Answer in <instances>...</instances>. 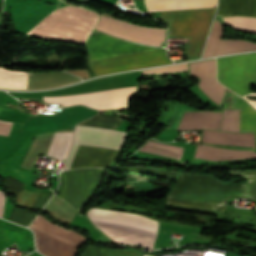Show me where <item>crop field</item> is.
<instances>
[{
  "instance_id": "8a807250",
  "label": "crop field",
  "mask_w": 256,
  "mask_h": 256,
  "mask_svg": "<svg viewBox=\"0 0 256 256\" xmlns=\"http://www.w3.org/2000/svg\"><path fill=\"white\" fill-rule=\"evenodd\" d=\"M90 50V58L97 59L151 49L154 47L140 46L126 41L118 40L106 35L89 36L86 44ZM171 63L164 55V49L98 59L89 61V67L97 75H104L123 70L135 69L145 66Z\"/></svg>"
},
{
  "instance_id": "ac0d7876",
  "label": "crop field",
  "mask_w": 256,
  "mask_h": 256,
  "mask_svg": "<svg viewBox=\"0 0 256 256\" xmlns=\"http://www.w3.org/2000/svg\"><path fill=\"white\" fill-rule=\"evenodd\" d=\"M167 204L223 211L230 197L247 198L246 185H226L207 175L180 173L169 191Z\"/></svg>"
},
{
  "instance_id": "34b2d1b8",
  "label": "crop field",
  "mask_w": 256,
  "mask_h": 256,
  "mask_svg": "<svg viewBox=\"0 0 256 256\" xmlns=\"http://www.w3.org/2000/svg\"><path fill=\"white\" fill-rule=\"evenodd\" d=\"M89 219L96 228L113 241L151 248L157 232V222L144 216L90 209Z\"/></svg>"
},
{
  "instance_id": "412701ff",
  "label": "crop field",
  "mask_w": 256,
  "mask_h": 256,
  "mask_svg": "<svg viewBox=\"0 0 256 256\" xmlns=\"http://www.w3.org/2000/svg\"><path fill=\"white\" fill-rule=\"evenodd\" d=\"M215 9L156 13L169 24V36L190 37L188 56H200Z\"/></svg>"
},
{
  "instance_id": "f4fd0767",
  "label": "crop field",
  "mask_w": 256,
  "mask_h": 256,
  "mask_svg": "<svg viewBox=\"0 0 256 256\" xmlns=\"http://www.w3.org/2000/svg\"><path fill=\"white\" fill-rule=\"evenodd\" d=\"M217 79L240 95L247 93L249 82L256 81V54L217 59Z\"/></svg>"
},
{
  "instance_id": "dd49c442",
  "label": "crop field",
  "mask_w": 256,
  "mask_h": 256,
  "mask_svg": "<svg viewBox=\"0 0 256 256\" xmlns=\"http://www.w3.org/2000/svg\"><path fill=\"white\" fill-rule=\"evenodd\" d=\"M103 170L75 169L61 172L57 195L79 211L98 186Z\"/></svg>"
},
{
  "instance_id": "e52e79f7",
  "label": "crop field",
  "mask_w": 256,
  "mask_h": 256,
  "mask_svg": "<svg viewBox=\"0 0 256 256\" xmlns=\"http://www.w3.org/2000/svg\"><path fill=\"white\" fill-rule=\"evenodd\" d=\"M95 30L147 45L160 46L165 39V29L136 26L103 15L98 21Z\"/></svg>"
},
{
  "instance_id": "d8731c3e",
  "label": "crop field",
  "mask_w": 256,
  "mask_h": 256,
  "mask_svg": "<svg viewBox=\"0 0 256 256\" xmlns=\"http://www.w3.org/2000/svg\"><path fill=\"white\" fill-rule=\"evenodd\" d=\"M134 91L135 87L76 96L44 98V101L47 103H61L64 106L84 104L97 109H125L127 100Z\"/></svg>"
},
{
  "instance_id": "5a996713",
  "label": "crop field",
  "mask_w": 256,
  "mask_h": 256,
  "mask_svg": "<svg viewBox=\"0 0 256 256\" xmlns=\"http://www.w3.org/2000/svg\"><path fill=\"white\" fill-rule=\"evenodd\" d=\"M126 132L112 131L103 128L76 126L74 129V142L63 168L69 169L78 144L119 150ZM123 145V144H122Z\"/></svg>"
},
{
  "instance_id": "3316defc",
  "label": "crop field",
  "mask_w": 256,
  "mask_h": 256,
  "mask_svg": "<svg viewBox=\"0 0 256 256\" xmlns=\"http://www.w3.org/2000/svg\"><path fill=\"white\" fill-rule=\"evenodd\" d=\"M215 60L199 61L189 63V74L199 79L197 86L216 104L220 105L223 95L224 87L215 80ZM217 105V106H218Z\"/></svg>"
},
{
  "instance_id": "28ad6ade",
  "label": "crop field",
  "mask_w": 256,
  "mask_h": 256,
  "mask_svg": "<svg viewBox=\"0 0 256 256\" xmlns=\"http://www.w3.org/2000/svg\"><path fill=\"white\" fill-rule=\"evenodd\" d=\"M222 28L219 21L213 23V27L207 41L202 58L230 54L242 51L256 50V43L242 40H223L220 39Z\"/></svg>"
},
{
  "instance_id": "d1516ede",
  "label": "crop field",
  "mask_w": 256,
  "mask_h": 256,
  "mask_svg": "<svg viewBox=\"0 0 256 256\" xmlns=\"http://www.w3.org/2000/svg\"><path fill=\"white\" fill-rule=\"evenodd\" d=\"M36 236V247L46 256H73L76 248L65 244L55 238L41 233L31 227Z\"/></svg>"
},
{
  "instance_id": "22f410ed",
  "label": "crop field",
  "mask_w": 256,
  "mask_h": 256,
  "mask_svg": "<svg viewBox=\"0 0 256 256\" xmlns=\"http://www.w3.org/2000/svg\"><path fill=\"white\" fill-rule=\"evenodd\" d=\"M146 11L216 6V0H143Z\"/></svg>"
},
{
  "instance_id": "cbeb9de0",
  "label": "crop field",
  "mask_w": 256,
  "mask_h": 256,
  "mask_svg": "<svg viewBox=\"0 0 256 256\" xmlns=\"http://www.w3.org/2000/svg\"><path fill=\"white\" fill-rule=\"evenodd\" d=\"M247 15L256 17V0H218L215 17Z\"/></svg>"
},
{
  "instance_id": "5142ce71",
  "label": "crop field",
  "mask_w": 256,
  "mask_h": 256,
  "mask_svg": "<svg viewBox=\"0 0 256 256\" xmlns=\"http://www.w3.org/2000/svg\"><path fill=\"white\" fill-rule=\"evenodd\" d=\"M196 157L209 160H233L243 158H256V153L254 151L227 150L200 144Z\"/></svg>"
},
{
  "instance_id": "d9b57169",
  "label": "crop field",
  "mask_w": 256,
  "mask_h": 256,
  "mask_svg": "<svg viewBox=\"0 0 256 256\" xmlns=\"http://www.w3.org/2000/svg\"><path fill=\"white\" fill-rule=\"evenodd\" d=\"M220 113L214 112H188L178 129H197V128H212L217 129Z\"/></svg>"
},
{
  "instance_id": "733c2abd",
  "label": "crop field",
  "mask_w": 256,
  "mask_h": 256,
  "mask_svg": "<svg viewBox=\"0 0 256 256\" xmlns=\"http://www.w3.org/2000/svg\"><path fill=\"white\" fill-rule=\"evenodd\" d=\"M203 143L254 146V136L252 133L232 134L205 130Z\"/></svg>"
},
{
  "instance_id": "4a817a6b",
  "label": "crop field",
  "mask_w": 256,
  "mask_h": 256,
  "mask_svg": "<svg viewBox=\"0 0 256 256\" xmlns=\"http://www.w3.org/2000/svg\"><path fill=\"white\" fill-rule=\"evenodd\" d=\"M231 108L240 109V131H252L256 136V110L234 93Z\"/></svg>"
},
{
  "instance_id": "bc2a9ffb",
  "label": "crop field",
  "mask_w": 256,
  "mask_h": 256,
  "mask_svg": "<svg viewBox=\"0 0 256 256\" xmlns=\"http://www.w3.org/2000/svg\"><path fill=\"white\" fill-rule=\"evenodd\" d=\"M43 210L48 212L54 219L67 224H69V222L77 213L66 202L55 195L45 205Z\"/></svg>"
},
{
  "instance_id": "214f88e0",
  "label": "crop field",
  "mask_w": 256,
  "mask_h": 256,
  "mask_svg": "<svg viewBox=\"0 0 256 256\" xmlns=\"http://www.w3.org/2000/svg\"><path fill=\"white\" fill-rule=\"evenodd\" d=\"M54 133L55 132H47V133L38 134L36 136L35 141L33 140L34 143L30 151L28 152L27 156L25 157L21 165L22 167L31 170L39 152L45 153V154L47 153Z\"/></svg>"
},
{
  "instance_id": "92a150f3",
  "label": "crop field",
  "mask_w": 256,
  "mask_h": 256,
  "mask_svg": "<svg viewBox=\"0 0 256 256\" xmlns=\"http://www.w3.org/2000/svg\"><path fill=\"white\" fill-rule=\"evenodd\" d=\"M72 138L73 132H56L47 155L57 159L65 158Z\"/></svg>"
},
{
  "instance_id": "dafd665d",
  "label": "crop field",
  "mask_w": 256,
  "mask_h": 256,
  "mask_svg": "<svg viewBox=\"0 0 256 256\" xmlns=\"http://www.w3.org/2000/svg\"><path fill=\"white\" fill-rule=\"evenodd\" d=\"M142 151L180 159L182 156L183 148L159 144L151 141L150 143H147V145L143 147Z\"/></svg>"
},
{
  "instance_id": "00972430",
  "label": "crop field",
  "mask_w": 256,
  "mask_h": 256,
  "mask_svg": "<svg viewBox=\"0 0 256 256\" xmlns=\"http://www.w3.org/2000/svg\"><path fill=\"white\" fill-rule=\"evenodd\" d=\"M122 121L123 120L117 117L98 114L93 118H89L87 120H84L78 123V125H89V126L115 129Z\"/></svg>"
},
{
  "instance_id": "a9b5d70f",
  "label": "crop field",
  "mask_w": 256,
  "mask_h": 256,
  "mask_svg": "<svg viewBox=\"0 0 256 256\" xmlns=\"http://www.w3.org/2000/svg\"><path fill=\"white\" fill-rule=\"evenodd\" d=\"M223 131L239 132V110H226L222 124Z\"/></svg>"
},
{
  "instance_id": "4177f3b9",
  "label": "crop field",
  "mask_w": 256,
  "mask_h": 256,
  "mask_svg": "<svg viewBox=\"0 0 256 256\" xmlns=\"http://www.w3.org/2000/svg\"><path fill=\"white\" fill-rule=\"evenodd\" d=\"M231 175H240L248 180L249 198L256 200V170H231Z\"/></svg>"
},
{
  "instance_id": "730fd06b",
  "label": "crop field",
  "mask_w": 256,
  "mask_h": 256,
  "mask_svg": "<svg viewBox=\"0 0 256 256\" xmlns=\"http://www.w3.org/2000/svg\"><path fill=\"white\" fill-rule=\"evenodd\" d=\"M36 214H32L30 212L24 211L22 209L13 207L11 214L9 216V220L27 226L30 221L34 218Z\"/></svg>"
},
{
  "instance_id": "eef30255",
  "label": "crop field",
  "mask_w": 256,
  "mask_h": 256,
  "mask_svg": "<svg viewBox=\"0 0 256 256\" xmlns=\"http://www.w3.org/2000/svg\"><path fill=\"white\" fill-rule=\"evenodd\" d=\"M39 192L22 190L20 193L15 195L16 202L24 207L31 209L34 201L36 200Z\"/></svg>"
},
{
  "instance_id": "ae1a2a85",
  "label": "crop field",
  "mask_w": 256,
  "mask_h": 256,
  "mask_svg": "<svg viewBox=\"0 0 256 256\" xmlns=\"http://www.w3.org/2000/svg\"><path fill=\"white\" fill-rule=\"evenodd\" d=\"M187 70V63L144 70L143 73H171Z\"/></svg>"
},
{
  "instance_id": "d3111659",
  "label": "crop field",
  "mask_w": 256,
  "mask_h": 256,
  "mask_svg": "<svg viewBox=\"0 0 256 256\" xmlns=\"http://www.w3.org/2000/svg\"><path fill=\"white\" fill-rule=\"evenodd\" d=\"M5 181V186L7 188V190H9L11 193H13L14 195L17 194L19 191H21L22 189H24V184L11 178V177H6L4 179Z\"/></svg>"
},
{
  "instance_id": "750c4746",
  "label": "crop field",
  "mask_w": 256,
  "mask_h": 256,
  "mask_svg": "<svg viewBox=\"0 0 256 256\" xmlns=\"http://www.w3.org/2000/svg\"><path fill=\"white\" fill-rule=\"evenodd\" d=\"M82 256H107V249H100L87 245Z\"/></svg>"
},
{
  "instance_id": "bd1437ed",
  "label": "crop field",
  "mask_w": 256,
  "mask_h": 256,
  "mask_svg": "<svg viewBox=\"0 0 256 256\" xmlns=\"http://www.w3.org/2000/svg\"><path fill=\"white\" fill-rule=\"evenodd\" d=\"M53 193H40L32 209H41L42 206L48 201Z\"/></svg>"
},
{
  "instance_id": "1d83c4d3",
  "label": "crop field",
  "mask_w": 256,
  "mask_h": 256,
  "mask_svg": "<svg viewBox=\"0 0 256 256\" xmlns=\"http://www.w3.org/2000/svg\"><path fill=\"white\" fill-rule=\"evenodd\" d=\"M13 122L0 120V135L8 136Z\"/></svg>"
},
{
  "instance_id": "120bbe31",
  "label": "crop field",
  "mask_w": 256,
  "mask_h": 256,
  "mask_svg": "<svg viewBox=\"0 0 256 256\" xmlns=\"http://www.w3.org/2000/svg\"><path fill=\"white\" fill-rule=\"evenodd\" d=\"M4 199H5V193L3 191H0V217L1 218L3 215Z\"/></svg>"
},
{
  "instance_id": "d32e631a",
  "label": "crop field",
  "mask_w": 256,
  "mask_h": 256,
  "mask_svg": "<svg viewBox=\"0 0 256 256\" xmlns=\"http://www.w3.org/2000/svg\"><path fill=\"white\" fill-rule=\"evenodd\" d=\"M252 230H255L256 231V226L252 228Z\"/></svg>"
}]
</instances>
